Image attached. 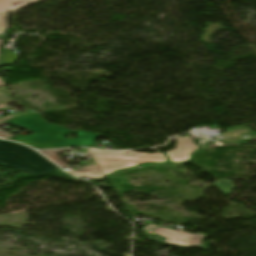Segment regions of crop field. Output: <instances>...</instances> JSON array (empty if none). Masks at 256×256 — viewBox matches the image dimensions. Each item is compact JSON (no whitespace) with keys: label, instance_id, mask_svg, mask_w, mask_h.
Here are the masks:
<instances>
[{"label":"crop field","instance_id":"1","mask_svg":"<svg viewBox=\"0 0 256 256\" xmlns=\"http://www.w3.org/2000/svg\"><path fill=\"white\" fill-rule=\"evenodd\" d=\"M8 122L23 126L35 134L10 138V140L23 142L36 149H53L68 146H93V139L98 136L87 131H70L63 127L50 125L42 120L38 113L11 119ZM73 132L78 138H64L65 133Z\"/></svg>","mask_w":256,"mask_h":256},{"label":"crop field","instance_id":"2","mask_svg":"<svg viewBox=\"0 0 256 256\" xmlns=\"http://www.w3.org/2000/svg\"><path fill=\"white\" fill-rule=\"evenodd\" d=\"M0 163L27 170V174L54 173L58 168L33 149L14 142L0 140Z\"/></svg>","mask_w":256,"mask_h":256},{"label":"crop field","instance_id":"3","mask_svg":"<svg viewBox=\"0 0 256 256\" xmlns=\"http://www.w3.org/2000/svg\"><path fill=\"white\" fill-rule=\"evenodd\" d=\"M98 162L105 175L121 168H127L143 162H165V158L160 153L147 154L135 153L133 151H99L89 149Z\"/></svg>","mask_w":256,"mask_h":256},{"label":"crop field","instance_id":"4","mask_svg":"<svg viewBox=\"0 0 256 256\" xmlns=\"http://www.w3.org/2000/svg\"><path fill=\"white\" fill-rule=\"evenodd\" d=\"M175 139L178 141L176 144V150L166 152L167 155L171 158L173 163L187 161L190 153L197 149L196 146L189 136Z\"/></svg>","mask_w":256,"mask_h":256},{"label":"crop field","instance_id":"5","mask_svg":"<svg viewBox=\"0 0 256 256\" xmlns=\"http://www.w3.org/2000/svg\"><path fill=\"white\" fill-rule=\"evenodd\" d=\"M36 0H0V14L20 9Z\"/></svg>","mask_w":256,"mask_h":256},{"label":"crop field","instance_id":"6","mask_svg":"<svg viewBox=\"0 0 256 256\" xmlns=\"http://www.w3.org/2000/svg\"><path fill=\"white\" fill-rule=\"evenodd\" d=\"M71 174H74L78 177H88L90 179H96L99 177L105 176L104 173L101 171L99 166H91V167H84L75 172L74 170L69 172Z\"/></svg>","mask_w":256,"mask_h":256},{"label":"crop field","instance_id":"7","mask_svg":"<svg viewBox=\"0 0 256 256\" xmlns=\"http://www.w3.org/2000/svg\"><path fill=\"white\" fill-rule=\"evenodd\" d=\"M7 38H8V36L5 37L3 48H2V51H1V54H0V67L1 66L12 65V64H14V62L18 58L17 55H14V54L9 53V52L4 50Z\"/></svg>","mask_w":256,"mask_h":256},{"label":"crop field","instance_id":"8","mask_svg":"<svg viewBox=\"0 0 256 256\" xmlns=\"http://www.w3.org/2000/svg\"><path fill=\"white\" fill-rule=\"evenodd\" d=\"M7 16L8 14L0 15V34H4L5 29L8 28Z\"/></svg>","mask_w":256,"mask_h":256},{"label":"crop field","instance_id":"9","mask_svg":"<svg viewBox=\"0 0 256 256\" xmlns=\"http://www.w3.org/2000/svg\"><path fill=\"white\" fill-rule=\"evenodd\" d=\"M0 137H3V138H8V137H13V135L1 130L0 131Z\"/></svg>","mask_w":256,"mask_h":256},{"label":"crop field","instance_id":"10","mask_svg":"<svg viewBox=\"0 0 256 256\" xmlns=\"http://www.w3.org/2000/svg\"><path fill=\"white\" fill-rule=\"evenodd\" d=\"M12 125H13V126H15V127L21 128V129H23V130L29 131V130H27V129L23 128V127L16 126V125H14V124H12ZM29 132H31V131H29ZM31 133H32V132H31Z\"/></svg>","mask_w":256,"mask_h":256},{"label":"crop field","instance_id":"11","mask_svg":"<svg viewBox=\"0 0 256 256\" xmlns=\"http://www.w3.org/2000/svg\"><path fill=\"white\" fill-rule=\"evenodd\" d=\"M1 86H4V83H3V81L1 80V78H0V87Z\"/></svg>","mask_w":256,"mask_h":256},{"label":"crop field","instance_id":"12","mask_svg":"<svg viewBox=\"0 0 256 256\" xmlns=\"http://www.w3.org/2000/svg\"><path fill=\"white\" fill-rule=\"evenodd\" d=\"M5 124H8V123H7V122H4V123L0 124V126H3V125H5Z\"/></svg>","mask_w":256,"mask_h":256},{"label":"crop field","instance_id":"13","mask_svg":"<svg viewBox=\"0 0 256 256\" xmlns=\"http://www.w3.org/2000/svg\"><path fill=\"white\" fill-rule=\"evenodd\" d=\"M1 42H2V40H0V46H1Z\"/></svg>","mask_w":256,"mask_h":256},{"label":"crop field","instance_id":"14","mask_svg":"<svg viewBox=\"0 0 256 256\" xmlns=\"http://www.w3.org/2000/svg\"><path fill=\"white\" fill-rule=\"evenodd\" d=\"M0 180H2L1 177H0Z\"/></svg>","mask_w":256,"mask_h":256}]
</instances>
